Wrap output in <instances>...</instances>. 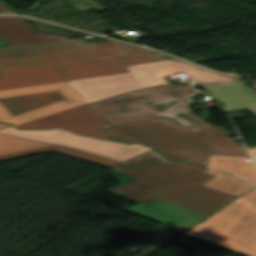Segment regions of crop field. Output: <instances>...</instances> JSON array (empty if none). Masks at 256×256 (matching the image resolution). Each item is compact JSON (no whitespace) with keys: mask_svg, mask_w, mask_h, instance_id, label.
I'll list each match as a JSON object with an SVG mask.
<instances>
[{"mask_svg":"<svg viewBox=\"0 0 256 256\" xmlns=\"http://www.w3.org/2000/svg\"><path fill=\"white\" fill-rule=\"evenodd\" d=\"M111 169L140 181L108 191L139 203L159 198L207 215L235 197L201 185L213 177L204 168L166 160L153 150Z\"/></svg>","mask_w":256,"mask_h":256,"instance_id":"crop-field-1","label":"crop field"},{"mask_svg":"<svg viewBox=\"0 0 256 256\" xmlns=\"http://www.w3.org/2000/svg\"><path fill=\"white\" fill-rule=\"evenodd\" d=\"M110 139L153 146L169 159L195 162L206 167L210 154L249 157L219 126L194 134L167 118L99 128Z\"/></svg>","mask_w":256,"mask_h":256,"instance_id":"crop-field-2","label":"crop field"},{"mask_svg":"<svg viewBox=\"0 0 256 256\" xmlns=\"http://www.w3.org/2000/svg\"><path fill=\"white\" fill-rule=\"evenodd\" d=\"M192 90L191 87L170 88L164 85L115 96L89 105L112 125L167 117L197 133L213 126L203 121L208 118L207 108H202L203 120L190 112L189 106L196 103L185 93Z\"/></svg>","mask_w":256,"mask_h":256,"instance_id":"crop-field-3","label":"crop field"},{"mask_svg":"<svg viewBox=\"0 0 256 256\" xmlns=\"http://www.w3.org/2000/svg\"><path fill=\"white\" fill-rule=\"evenodd\" d=\"M110 45L63 39L0 48V73L126 55L119 41Z\"/></svg>","mask_w":256,"mask_h":256,"instance_id":"crop-field-4","label":"crop field"},{"mask_svg":"<svg viewBox=\"0 0 256 256\" xmlns=\"http://www.w3.org/2000/svg\"><path fill=\"white\" fill-rule=\"evenodd\" d=\"M130 72L67 81L87 101L110 97L156 85L166 84L164 75L188 72L196 82L234 80L175 60L129 66Z\"/></svg>","mask_w":256,"mask_h":256,"instance_id":"crop-field-5","label":"crop field"},{"mask_svg":"<svg viewBox=\"0 0 256 256\" xmlns=\"http://www.w3.org/2000/svg\"><path fill=\"white\" fill-rule=\"evenodd\" d=\"M0 133L58 146L0 156V160L21 157L46 151H54L103 166L110 167L142 152L151 150L138 144L126 145L95 138L75 135L62 129L49 131H19L13 126L0 130Z\"/></svg>","mask_w":256,"mask_h":256,"instance_id":"crop-field-6","label":"crop field"},{"mask_svg":"<svg viewBox=\"0 0 256 256\" xmlns=\"http://www.w3.org/2000/svg\"><path fill=\"white\" fill-rule=\"evenodd\" d=\"M128 56L0 74V90L128 71L125 66L165 60L149 50L120 42Z\"/></svg>","mask_w":256,"mask_h":256,"instance_id":"crop-field-7","label":"crop field"},{"mask_svg":"<svg viewBox=\"0 0 256 256\" xmlns=\"http://www.w3.org/2000/svg\"><path fill=\"white\" fill-rule=\"evenodd\" d=\"M183 235L245 256H256V203L242 198L233 201Z\"/></svg>","mask_w":256,"mask_h":256,"instance_id":"crop-field-8","label":"crop field"},{"mask_svg":"<svg viewBox=\"0 0 256 256\" xmlns=\"http://www.w3.org/2000/svg\"><path fill=\"white\" fill-rule=\"evenodd\" d=\"M84 102L67 82L1 90L0 121L16 125Z\"/></svg>","mask_w":256,"mask_h":256,"instance_id":"crop-field-9","label":"crop field"},{"mask_svg":"<svg viewBox=\"0 0 256 256\" xmlns=\"http://www.w3.org/2000/svg\"><path fill=\"white\" fill-rule=\"evenodd\" d=\"M20 129L36 128L48 129L53 127H62L75 133L106 138L96 126H109L96 112L91 110L86 104L16 125Z\"/></svg>","mask_w":256,"mask_h":256,"instance_id":"crop-field-10","label":"crop field"},{"mask_svg":"<svg viewBox=\"0 0 256 256\" xmlns=\"http://www.w3.org/2000/svg\"><path fill=\"white\" fill-rule=\"evenodd\" d=\"M124 209L165 222L183 230L205 216L159 199Z\"/></svg>","mask_w":256,"mask_h":256,"instance_id":"crop-field-11","label":"crop field"},{"mask_svg":"<svg viewBox=\"0 0 256 256\" xmlns=\"http://www.w3.org/2000/svg\"><path fill=\"white\" fill-rule=\"evenodd\" d=\"M63 38L41 34L35 31L33 24L23 22L18 16H0V39L10 45Z\"/></svg>","mask_w":256,"mask_h":256,"instance_id":"crop-field-12","label":"crop field"},{"mask_svg":"<svg viewBox=\"0 0 256 256\" xmlns=\"http://www.w3.org/2000/svg\"><path fill=\"white\" fill-rule=\"evenodd\" d=\"M183 230L161 224L146 236L125 249L118 256H148L171 239L180 234Z\"/></svg>","mask_w":256,"mask_h":256,"instance_id":"crop-field-13","label":"crop field"},{"mask_svg":"<svg viewBox=\"0 0 256 256\" xmlns=\"http://www.w3.org/2000/svg\"><path fill=\"white\" fill-rule=\"evenodd\" d=\"M207 168L256 181V167L253 161L247 162L243 157L210 155Z\"/></svg>","mask_w":256,"mask_h":256,"instance_id":"crop-field-14","label":"crop field"},{"mask_svg":"<svg viewBox=\"0 0 256 256\" xmlns=\"http://www.w3.org/2000/svg\"><path fill=\"white\" fill-rule=\"evenodd\" d=\"M210 92L225 106L222 108L224 111L242 109L249 111L256 117V93L252 94L245 88L215 90Z\"/></svg>","mask_w":256,"mask_h":256,"instance_id":"crop-field-15","label":"crop field"},{"mask_svg":"<svg viewBox=\"0 0 256 256\" xmlns=\"http://www.w3.org/2000/svg\"><path fill=\"white\" fill-rule=\"evenodd\" d=\"M206 173L213 174L215 177L211 178L203 185L235 196L249 190L251 187L256 185V183L239 180L227 174H222L207 169Z\"/></svg>","mask_w":256,"mask_h":256,"instance_id":"crop-field-16","label":"crop field"},{"mask_svg":"<svg viewBox=\"0 0 256 256\" xmlns=\"http://www.w3.org/2000/svg\"><path fill=\"white\" fill-rule=\"evenodd\" d=\"M8 126L10 125L0 123V129L6 128ZM49 146L55 145L0 134V155H6Z\"/></svg>","mask_w":256,"mask_h":256,"instance_id":"crop-field-17","label":"crop field"},{"mask_svg":"<svg viewBox=\"0 0 256 256\" xmlns=\"http://www.w3.org/2000/svg\"><path fill=\"white\" fill-rule=\"evenodd\" d=\"M202 87L206 90H215V89H227V88H239V87H245L252 93H255L256 90L253 88H248L245 85H243L240 81L237 82H223V83H213V84H200L194 86V88Z\"/></svg>","mask_w":256,"mask_h":256,"instance_id":"crop-field-18","label":"crop field"},{"mask_svg":"<svg viewBox=\"0 0 256 256\" xmlns=\"http://www.w3.org/2000/svg\"><path fill=\"white\" fill-rule=\"evenodd\" d=\"M45 1H49V0H45ZM73 2H75L76 4L72 7L76 8L77 10L81 11L89 6H93L98 10H103L105 9L104 7L98 5L97 3H95L92 0H72Z\"/></svg>","mask_w":256,"mask_h":256,"instance_id":"crop-field-19","label":"crop field"},{"mask_svg":"<svg viewBox=\"0 0 256 256\" xmlns=\"http://www.w3.org/2000/svg\"><path fill=\"white\" fill-rule=\"evenodd\" d=\"M240 197L248 199L250 201L256 202V187L253 189L249 190L248 192L244 193Z\"/></svg>","mask_w":256,"mask_h":256,"instance_id":"crop-field-20","label":"crop field"},{"mask_svg":"<svg viewBox=\"0 0 256 256\" xmlns=\"http://www.w3.org/2000/svg\"><path fill=\"white\" fill-rule=\"evenodd\" d=\"M0 12H1V13H13V12H11L8 8H6V7L4 6L3 2H0ZM13 14H15V13H13Z\"/></svg>","mask_w":256,"mask_h":256,"instance_id":"crop-field-21","label":"crop field"},{"mask_svg":"<svg viewBox=\"0 0 256 256\" xmlns=\"http://www.w3.org/2000/svg\"><path fill=\"white\" fill-rule=\"evenodd\" d=\"M249 152H250L252 158L254 159V161L256 162V148L250 149Z\"/></svg>","mask_w":256,"mask_h":256,"instance_id":"crop-field-22","label":"crop field"},{"mask_svg":"<svg viewBox=\"0 0 256 256\" xmlns=\"http://www.w3.org/2000/svg\"><path fill=\"white\" fill-rule=\"evenodd\" d=\"M2 45H5V44L0 41V46H2Z\"/></svg>","mask_w":256,"mask_h":256,"instance_id":"crop-field-23","label":"crop field"}]
</instances>
